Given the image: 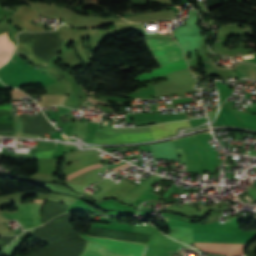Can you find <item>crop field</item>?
<instances>
[{"label":"crop field","instance_id":"crop-field-8","mask_svg":"<svg viewBox=\"0 0 256 256\" xmlns=\"http://www.w3.org/2000/svg\"><path fill=\"white\" fill-rule=\"evenodd\" d=\"M81 256H118V255L108 252L106 249H104L103 247L97 244L87 242L85 250Z\"/></svg>","mask_w":256,"mask_h":256},{"label":"crop field","instance_id":"crop-field-3","mask_svg":"<svg viewBox=\"0 0 256 256\" xmlns=\"http://www.w3.org/2000/svg\"><path fill=\"white\" fill-rule=\"evenodd\" d=\"M81 237L89 241L95 242L97 244H100L109 251H112L122 256H144L148 246L144 244L125 242L113 239L88 237L83 235H81Z\"/></svg>","mask_w":256,"mask_h":256},{"label":"crop field","instance_id":"crop-field-12","mask_svg":"<svg viewBox=\"0 0 256 256\" xmlns=\"http://www.w3.org/2000/svg\"><path fill=\"white\" fill-rule=\"evenodd\" d=\"M53 151L54 150H52V151H45V152H39V153H37V158H50V156H51Z\"/></svg>","mask_w":256,"mask_h":256},{"label":"crop field","instance_id":"crop-field-10","mask_svg":"<svg viewBox=\"0 0 256 256\" xmlns=\"http://www.w3.org/2000/svg\"><path fill=\"white\" fill-rule=\"evenodd\" d=\"M15 120V135H20V136H35V135H28V134H23V125L20 120L19 116H14ZM37 137V136H35Z\"/></svg>","mask_w":256,"mask_h":256},{"label":"crop field","instance_id":"crop-field-14","mask_svg":"<svg viewBox=\"0 0 256 256\" xmlns=\"http://www.w3.org/2000/svg\"><path fill=\"white\" fill-rule=\"evenodd\" d=\"M90 102H94V103H97V104H102V105H106L105 103H101V102H97V101H93L91 99H89Z\"/></svg>","mask_w":256,"mask_h":256},{"label":"crop field","instance_id":"crop-field-13","mask_svg":"<svg viewBox=\"0 0 256 256\" xmlns=\"http://www.w3.org/2000/svg\"><path fill=\"white\" fill-rule=\"evenodd\" d=\"M7 222L9 221L0 216V223H7Z\"/></svg>","mask_w":256,"mask_h":256},{"label":"crop field","instance_id":"crop-field-5","mask_svg":"<svg viewBox=\"0 0 256 256\" xmlns=\"http://www.w3.org/2000/svg\"><path fill=\"white\" fill-rule=\"evenodd\" d=\"M181 127H191L188 120L165 123L156 126H150V130L155 139L170 136L176 133V130Z\"/></svg>","mask_w":256,"mask_h":256},{"label":"crop field","instance_id":"crop-field-7","mask_svg":"<svg viewBox=\"0 0 256 256\" xmlns=\"http://www.w3.org/2000/svg\"><path fill=\"white\" fill-rule=\"evenodd\" d=\"M14 48L7 33L0 35V66L8 61Z\"/></svg>","mask_w":256,"mask_h":256},{"label":"crop field","instance_id":"crop-field-9","mask_svg":"<svg viewBox=\"0 0 256 256\" xmlns=\"http://www.w3.org/2000/svg\"><path fill=\"white\" fill-rule=\"evenodd\" d=\"M66 96L63 95H51L42 96L43 102H37L41 107L52 106V105H62Z\"/></svg>","mask_w":256,"mask_h":256},{"label":"crop field","instance_id":"crop-field-4","mask_svg":"<svg viewBox=\"0 0 256 256\" xmlns=\"http://www.w3.org/2000/svg\"><path fill=\"white\" fill-rule=\"evenodd\" d=\"M153 140L150 131L124 132V133H99L96 132L93 143L120 144Z\"/></svg>","mask_w":256,"mask_h":256},{"label":"crop field","instance_id":"crop-field-1","mask_svg":"<svg viewBox=\"0 0 256 256\" xmlns=\"http://www.w3.org/2000/svg\"><path fill=\"white\" fill-rule=\"evenodd\" d=\"M146 44L161 67L184 59L182 50L177 45L176 41L147 40ZM187 67L185 60H182L149 73L137 75L138 77L134 78V80L144 81Z\"/></svg>","mask_w":256,"mask_h":256},{"label":"crop field","instance_id":"crop-field-2","mask_svg":"<svg viewBox=\"0 0 256 256\" xmlns=\"http://www.w3.org/2000/svg\"><path fill=\"white\" fill-rule=\"evenodd\" d=\"M33 202L34 203L16 205L18 211H0V215L9 220L17 219V221L23 226L24 230L37 227L41 224L40 211L44 202Z\"/></svg>","mask_w":256,"mask_h":256},{"label":"crop field","instance_id":"crop-field-6","mask_svg":"<svg viewBox=\"0 0 256 256\" xmlns=\"http://www.w3.org/2000/svg\"><path fill=\"white\" fill-rule=\"evenodd\" d=\"M188 139L191 141V143L194 145L196 150L200 154V161L196 169V173H203L204 169L208 163V153L207 150L204 148V146L201 144L199 139L196 137V135L189 136Z\"/></svg>","mask_w":256,"mask_h":256},{"label":"crop field","instance_id":"crop-field-11","mask_svg":"<svg viewBox=\"0 0 256 256\" xmlns=\"http://www.w3.org/2000/svg\"><path fill=\"white\" fill-rule=\"evenodd\" d=\"M12 91H18V90H17V89H13V90H10L9 92H12ZM10 95H11V99L26 96V95H25V94H23L21 91H18V92H12V93H10Z\"/></svg>","mask_w":256,"mask_h":256}]
</instances>
